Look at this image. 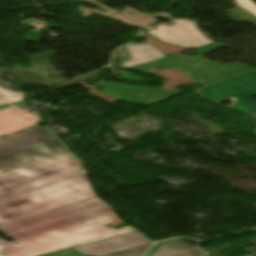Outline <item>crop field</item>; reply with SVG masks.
<instances>
[{"label":"crop field","instance_id":"1","mask_svg":"<svg viewBox=\"0 0 256 256\" xmlns=\"http://www.w3.org/2000/svg\"><path fill=\"white\" fill-rule=\"evenodd\" d=\"M116 218L111 208L95 197L5 223L0 231L14 242L0 239V256H37L135 231L130 226L107 228ZM16 242L19 244L13 245Z\"/></svg>","mask_w":256,"mask_h":256},{"label":"crop field","instance_id":"2","mask_svg":"<svg viewBox=\"0 0 256 256\" xmlns=\"http://www.w3.org/2000/svg\"><path fill=\"white\" fill-rule=\"evenodd\" d=\"M81 175L0 202V224L95 197Z\"/></svg>","mask_w":256,"mask_h":256},{"label":"crop field","instance_id":"3","mask_svg":"<svg viewBox=\"0 0 256 256\" xmlns=\"http://www.w3.org/2000/svg\"><path fill=\"white\" fill-rule=\"evenodd\" d=\"M68 154L0 177V200L82 173Z\"/></svg>","mask_w":256,"mask_h":256},{"label":"crop field","instance_id":"4","mask_svg":"<svg viewBox=\"0 0 256 256\" xmlns=\"http://www.w3.org/2000/svg\"><path fill=\"white\" fill-rule=\"evenodd\" d=\"M220 46L222 45H219L217 43L208 44L205 46L194 48L195 50L199 51V56L185 57L183 55L177 54L171 57H164L161 59L150 61L143 65L130 68L129 70L141 72L146 75L152 76L153 74L148 69L157 68L163 70L165 68H177L185 71L189 76L193 77L197 82L204 86L212 82L221 80L232 74L238 73L240 71L250 69L240 63L224 65L220 62L208 61L200 57L201 54L218 48ZM162 61H165L167 63L164 64L162 63ZM227 72H229V74H227Z\"/></svg>","mask_w":256,"mask_h":256},{"label":"crop field","instance_id":"5","mask_svg":"<svg viewBox=\"0 0 256 256\" xmlns=\"http://www.w3.org/2000/svg\"><path fill=\"white\" fill-rule=\"evenodd\" d=\"M172 21L176 24L172 26L161 24L156 27L158 29L148 33L157 37L161 42L185 48H194L213 42L196 28L195 23L184 19Z\"/></svg>","mask_w":256,"mask_h":256},{"label":"crop field","instance_id":"6","mask_svg":"<svg viewBox=\"0 0 256 256\" xmlns=\"http://www.w3.org/2000/svg\"><path fill=\"white\" fill-rule=\"evenodd\" d=\"M102 86L106 87L102 91L114 99L146 105L155 104L181 93L176 90L133 87L111 82Z\"/></svg>","mask_w":256,"mask_h":256},{"label":"crop field","instance_id":"7","mask_svg":"<svg viewBox=\"0 0 256 256\" xmlns=\"http://www.w3.org/2000/svg\"><path fill=\"white\" fill-rule=\"evenodd\" d=\"M53 141V138L38 127H29L0 139V160Z\"/></svg>","mask_w":256,"mask_h":256},{"label":"crop field","instance_id":"8","mask_svg":"<svg viewBox=\"0 0 256 256\" xmlns=\"http://www.w3.org/2000/svg\"><path fill=\"white\" fill-rule=\"evenodd\" d=\"M68 152L59 142L53 141L0 162V176Z\"/></svg>","mask_w":256,"mask_h":256},{"label":"crop field","instance_id":"9","mask_svg":"<svg viewBox=\"0 0 256 256\" xmlns=\"http://www.w3.org/2000/svg\"><path fill=\"white\" fill-rule=\"evenodd\" d=\"M150 242L151 241L145 239L136 231L128 234L115 236L102 241L78 246L73 249L85 255L98 256Z\"/></svg>","mask_w":256,"mask_h":256},{"label":"crop field","instance_id":"10","mask_svg":"<svg viewBox=\"0 0 256 256\" xmlns=\"http://www.w3.org/2000/svg\"><path fill=\"white\" fill-rule=\"evenodd\" d=\"M39 116L15 106L0 110V135L10 134L28 126L36 125Z\"/></svg>","mask_w":256,"mask_h":256},{"label":"crop field","instance_id":"11","mask_svg":"<svg viewBox=\"0 0 256 256\" xmlns=\"http://www.w3.org/2000/svg\"><path fill=\"white\" fill-rule=\"evenodd\" d=\"M85 1H89V2H92L96 5H98L99 7L109 11L108 13H105V12H101V11H97V10H94V9H90V8H86V7H83V6H78L79 10H80V13H81V16L82 17H90L93 13H96V14H99V15H103L105 17H107L108 15L116 12V10H112L108 7H105L101 4H98L92 0H85ZM90 11H93L91 14L89 13ZM124 12L121 13V12H118L117 14L109 17L113 20H119L121 21L122 23L126 24V25H130V26H134V27H138V28H141L147 24H150L153 21V19L150 17V16H145L144 14L138 12V11H135L131 8H126L123 10ZM82 12H84V14H82ZM128 12H131V13H134V15H131L129 14Z\"/></svg>","mask_w":256,"mask_h":256},{"label":"crop field","instance_id":"12","mask_svg":"<svg viewBox=\"0 0 256 256\" xmlns=\"http://www.w3.org/2000/svg\"><path fill=\"white\" fill-rule=\"evenodd\" d=\"M201 253L198 248L174 239L155 244L146 256H199Z\"/></svg>","mask_w":256,"mask_h":256},{"label":"crop field","instance_id":"13","mask_svg":"<svg viewBox=\"0 0 256 256\" xmlns=\"http://www.w3.org/2000/svg\"><path fill=\"white\" fill-rule=\"evenodd\" d=\"M126 47L132 58L131 60L123 63L125 68L137 66L147 61L165 56L159 50L148 44L128 45Z\"/></svg>","mask_w":256,"mask_h":256},{"label":"crop field","instance_id":"14","mask_svg":"<svg viewBox=\"0 0 256 256\" xmlns=\"http://www.w3.org/2000/svg\"><path fill=\"white\" fill-rule=\"evenodd\" d=\"M24 94L14 93L0 88V106H4L23 99Z\"/></svg>","mask_w":256,"mask_h":256},{"label":"crop field","instance_id":"15","mask_svg":"<svg viewBox=\"0 0 256 256\" xmlns=\"http://www.w3.org/2000/svg\"><path fill=\"white\" fill-rule=\"evenodd\" d=\"M151 244L152 243L134 247V248H130V249H126V250H122V251H118V252H114V253H110V254H106V255H102V256H141L143 254V252Z\"/></svg>","mask_w":256,"mask_h":256},{"label":"crop field","instance_id":"16","mask_svg":"<svg viewBox=\"0 0 256 256\" xmlns=\"http://www.w3.org/2000/svg\"><path fill=\"white\" fill-rule=\"evenodd\" d=\"M238 7L247 10L256 16V5L251 0H235Z\"/></svg>","mask_w":256,"mask_h":256},{"label":"crop field","instance_id":"17","mask_svg":"<svg viewBox=\"0 0 256 256\" xmlns=\"http://www.w3.org/2000/svg\"><path fill=\"white\" fill-rule=\"evenodd\" d=\"M45 256H83V255L77 254L73 250L69 249V250H65V251H61V252H57V253H53Z\"/></svg>","mask_w":256,"mask_h":256},{"label":"crop field","instance_id":"18","mask_svg":"<svg viewBox=\"0 0 256 256\" xmlns=\"http://www.w3.org/2000/svg\"><path fill=\"white\" fill-rule=\"evenodd\" d=\"M153 15H155V16L161 15V16L164 17V18L172 19V17H170V16H169L167 13H165V12H163V13H161V14H153Z\"/></svg>","mask_w":256,"mask_h":256},{"label":"crop field","instance_id":"19","mask_svg":"<svg viewBox=\"0 0 256 256\" xmlns=\"http://www.w3.org/2000/svg\"><path fill=\"white\" fill-rule=\"evenodd\" d=\"M152 29H156V28H154V27H152V26H150V27H147V28H145V30H152Z\"/></svg>","mask_w":256,"mask_h":256}]
</instances>
